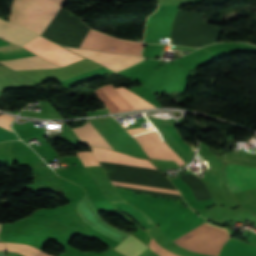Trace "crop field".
I'll list each match as a JSON object with an SVG mask.
<instances>
[{
	"instance_id": "11",
	"label": "crop field",
	"mask_w": 256,
	"mask_h": 256,
	"mask_svg": "<svg viewBox=\"0 0 256 256\" xmlns=\"http://www.w3.org/2000/svg\"><path fill=\"white\" fill-rule=\"evenodd\" d=\"M73 131L88 146L109 148L88 122L80 128H74Z\"/></svg>"
},
{
	"instance_id": "12",
	"label": "crop field",
	"mask_w": 256,
	"mask_h": 256,
	"mask_svg": "<svg viewBox=\"0 0 256 256\" xmlns=\"http://www.w3.org/2000/svg\"><path fill=\"white\" fill-rule=\"evenodd\" d=\"M145 245L139 242L133 236H129L126 238L121 244H119L114 249L120 251L121 253L125 254L126 256H138L141 252L147 249Z\"/></svg>"
},
{
	"instance_id": "15",
	"label": "crop field",
	"mask_w": 256,
	"mask_h": 256,
	"mask_svg": "<svg viewBox=\"0 0 256 256\" xmlns=\"http://www.w3.org/2000/svg\"><path fill=\"white\" fill-rule=\"evenodd\" d=\"M77 154L85 166L99 165L91 152H77Z\"/></svg>"
},
{
	"instance_id": "6",
	"label": "crop field",
	"mask_w": 256,
	"mask_h": 256,
	"mask_svg": "<svg viewBox=\"0 0 256 256\" xmlns=\"http://www.w3.org/2000/svg\"><path fill=\"white\" fill-rule=\"evenodd\" d=\"M67 49L89 59H92L115 72H118L126 67H129L144 60V58H139L131 55L108 54L98 51H88L73 48Z\"/></svg>"
},
{
	"instance_id": "4",
	"label": "crop field",
	"mask_w": 256,
	"mask_h": 256,
	"mask_svg": "<svg viewBox=\"0 0 256 256\" xmlns=\"http://www.w3.org/2000/svg\"><path fill=\"white\" fill-rule=\"evenodd\" d=\"M91 149L93 150V154L95 155V157L97 158V160L101 164V166L162 174L156 168L148 167V166H153V165L144 159H136L129 155H124V154L117 153L115 151L107 150L109 162L148 165V166L108 163L106 150L99 149V148H93V147H91Z\"/></svg>"
},
{
	"instance_id": "2",
	"label": "crop field",
	"mask_w": 256,
	"mask_h": 256,
	"mask_svg": "<svg viewBox=\"0 0 256 256\" xmlns=\"http://www.w3.org/2000/svg\"><path fill=\"white\" fill-rule=\"evenodd\" d=\"M0 37L7 41H10L16 45L22 46V45H25L28 42L36 39L38 36L31 32H28L14 24L0 20ZM29 44L53 55L69 64H71L79 59H83L81 57H78V56L72 54L67 49H65L59 45H56L52 42H49L41 37L37 38L35 41H33ZM23 47L35 54L40 55L41 57L45 58L46 60L61 66V67L68 65V64H66V63L28 45V44Z\"/></svg>"
},
{
	"instance_id": "3",
	"label": "crop field",
	"mask_w": 256,
	"mask_h": 256,
	"mask_svg": "<svg viewBox=\"0 0 256 256\" xmlns=\"http://www.w3.org/2000/svg\"><path fill=\"white\" fill-rule=\"evenodd\" d=\"M228 239L227 230L204 223L173 242L192 251L217 256Z\"/></svg>"
},
{
	"instance_id": "13",
	"label": "crop field",
	"mask_w": 256,
	"mask_h": 256,
	"mask_svg": "<svg viewBox=\"0 0 256 256\" xmlns=\"http://www.w3.org/2000/svg\"><path fill=\"white\" fill-rule=\"evenodd\" d=\"M115 90L120 94L127 102L131 104V106L136 109H145V108H156L154 105L146 102L145 100L141 99L137 95L133 94L132 92L121 88H115Z\"/></svg>"
},
{
	"instance_id": "17",
	"label": "crop field",
	"mask_w": 256,
	"mask_h": 256,
	"mask_svg": "<svg viewBox=\"0 0 256 256\" xmlns=\"http://www.w3.org/2000/svg\"><path fill=\"white\" fill-rule=\"evenodd\" d=\"M7 121H8V120H7ZM7 121H5V120H3V119L0 118V126L8 130L9 124H10L9 122H10V121H9V122H7Z\"/></svg>"
},
{
	"instance_id": "14",
	"label": "crop field",
	"mask_w": 256,
	"mask_h": 256,
	"mask_svg": "<svg viewBox=\"0 0 256 256\" xmlns=\"http://www.w3.org/2000/svg\"><path fill=\"white\" fill-rule=\"evenodd\" d=\"M7 251L18 252L24 256H51L47 253H43L29 245H20L5 243Z\"/></svg>"
},
{
	"instance_id": "5",
	"label": "crop field",
	"mask_w": 256,
	"mask_h": 256,
	"mask_svg": "<svg viewBox=\"0 0 256 256\" xmlns=\"http://www.w3.org/2000/svg\"><path fill=\"white\" fill-rule=\"evenodd\" d=\"M223 172L231 193L256 188V168L227 164Z\"/></svg>"
},
{
	"instance_id": "9",
	"label": "crop field",
	"mask_w": 256,
	"mask_h": 256,
	"mask_svg": "<svg viewBox=\"0 0 256 256\" xmlns=\"http://www.w3.org/2000/svg\"><path fill=\"white\" fill-rule=\"evenodd\" d=\"M0 63L7 65L8 67L14 70L46 69L58 67L44 59L39 58L38 56L8 61H0Z\"/></svg>"
},
{
	"instance_id": "7",
	"label": "crop field",
	"mask_w": 256,
	"mask_h": 256,
	"mask_svg": "<svg viewBox=\"0 0 256 256\" xmlns=\"http://www.w3.org/2000/svg\"><path fill=\"white\" fill-rule=\"evenodd\" d=\"M149 157L163 160H174L179 166L185 163L165 142H162L156 131L135 137Z\"/></svg>"
},
{
	"instance_id": "16",
	"label": "crop field",
	"mask_w": 256,
	"mask_h": 256,
	"mask_svg": "<svg viewBox=\"0 0 256 256\" xmlns=\"http://www.w3.org/2000/svg\"><path fill=\"white\" fill-rule=\"evenodd\" d=\"M148 247L154 251L156 254H158L159 256H176L168 251H166L165 249L159 247L154 241L153 239L150 241Z\"/></svg>"
},
{
	"instance_id": "8",
	"label": "crop field",
	"mask_w": 256,
	"mask_h": 256,
	"mask_svg": "<svg viewBox=\"0 0 256 256\" xmlns=\"http://www.w3.org/2000/svg\"><path fill=\"white\" fill-rule=\"evenodd\" d=\"M96 93L111 113L133 110L130 105L116 93L112 85L100 88Z\"/></svg>"
},
{
	"instance_id": "10",
	"label": "crop field",
	"mask_w": 256,
	"mask_h": 256,
	"mask_svg": "<svg viewBox=\"0 0 256 256\" xmlns=\"http://www.w3.org/2000/svg\"><path fill=\"white\" fill-rule=\"evenodd\" d=\"M111 203L128 216L136 220L146 231L157 226L151 222L143 213L125 201H111Z\"/></svg>"
},
{
	"instance_id": "18",
	"label": "crop field",
	"mask_w": 256,
	"mask_h": 256,
	"mask_svg": "<svg viewBox=\"0 0 256 256\" xmlns=\"http://www.w3.org/2000/svg\"><path fill=\"white\" fill-rule=\"evenodd\" d=\"M0 250H1V251H6L5 246H4L3 243H0Z\"/></svg>"
},
{
	"instance_id": "1",
	"label": "crop field",
	"mask_w": 256,
	"mask_h": 256,
	"mask_svg": "<svg viewBox=\"0 0 256 256\" xmlns=\"http://www.w3.org/2000/svg\"><path fill=\"white\" fill-rule=\"evenodd\" d=\"M64 2L65 0H14L10 22L41 35ZM137 44L90 30L81 48L140 56L143 44Z\"/></svg>"
}]
</instances>
